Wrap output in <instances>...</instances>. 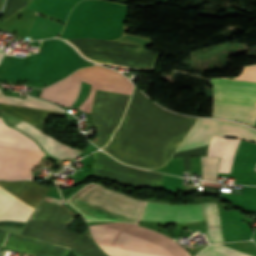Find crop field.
<instances>
[{
    "label": "crop field",
    "instance_id": "8a807250",
    "mask_svg": "<svg viewBox=\"0 0 256 256\" xmlns=\"http://www.w3.org/2000/svg\"><path fill=\"white\" fill-rule=\"evenodd\" d=\"M196 121L161 109L135 88L121 129L103 150L128 165L158 168L174 154Z\"/></svg>",
    "mask_w": 256,
    "mask_h": 256
},
{
    "label": "crop field",
    "instance_id": "ac0d7876",
    "mask_svg": "<svg viewBox=\"0 0 256 256\" xmlns=\"http://www.w3.org/2000/svg\"><path fill=\"white\" fill-rule=\"evenodd\" d=\"M75 216L60 200L44 196L19 236L72 248L77 256H107L94 243L88 230L79 235L65 229Z\"/></svg>",
    "mask_w": 256,
    "mask_h": 256
},
{
    "label": "crop field",
    "instance_id": "34b2d1b8",
    "mask_svg": "<svg viewBox=\"0 0 256 256\" xmlns=\"http://www.w3.org/2000/svg\"><path fill=\"white\" fill-rule=\"evenodd\" d=\"M93 240L166 256H190L178 242L134 224L114 222L89 226ZM95 241V242H96ZM109 256H161L96 242Z\"/></svg>",
    "mask_w": 256,
    "mask_h": 256
},
{
    "label": "crop field",
    "instance_id": "412701ff",
    "mask_svg": "<svg viewBox=\"0 0 256 256\" xmlns=\"http://www.w3.org/2000/svg\"><path fill=\"white\" fill-rule=\"evenodd\" d=\"M0 189L31 213L43 198L49 187L30 181H0ZM0 190V220L25 222L31 214ZM10 233L0 230V246ZM3 247L21 250L36 256H64L69 250L12 236Z\"/></svg>",
    "mask_w": 256,
    "mask_h": 256
},
{
    "label": "crop field",
    "instance_id": "f4fd0767",
    "mask_svg": "<svg viewBox=\"0 0 256 256\" xmlns=\"http://www.w3.org/2000/svg\"><path fill=\"white\" fill-rule=\"evenodd\" d=\"M66 202L83 215L86 221H123L138 224L146 201L91 182Z\"/></svg>",
    "mask_w": 256,
    "mask_h": 256
},
{
    "label": "crop field",
    "instance_id": "dd49c442",
    "mask_svg": "<svg viewBox=\"0 0 256 256\" xmlns=\"http://www.w3.org/2000/svg\"><path fill=\"white\" fill-rule=\"evenodd\" d=\"M81 80L92 84L89 97L78 107L88 113H90L95 89L129 95L133 89V84L121 74L104 67L91 66L80 69L68 78L44 89L40 97L70 107L79 93Z\"/></svg>",
    "mask_w": 256,
    "mask_h": 256
},
{
    "label": "crop field",
    "instance_id": "e52e79f7",
    "mask_svg": "<svg viewBox=\"0 0 256 256\" xmlns=\"http://www.w3.org/2000/svg\"><path fill=\"white\" fill-rule=\"evenodd\" d=\"M130 97L129 95L96 90L91 116L97 136L91 141L100 148L109 143L126 111Z\"/></svg>",
    "mask_w": 256,
    "mask_h": 256
},
{
    "label": "crop field",
    "instance_id": "d8731c3e",
    "mask_svg": "<svg viewBox=\"0 0 256 256\" xmlns=\"http://www.w3.org/2000/svg\"><path fill=\"white\" fill-rule=\"evenodd\" d=\"M212 136H232L256 141V131L251 128L230 122L198 119L177 152L207 145Z\"/></svg>",
    "mask_w": 256,
    "mask_h": 256
},
{
    "label": "crop field",
    "instance_id": "5a996713",
    "mask_svg": "<svg viewBox=\"0 0 256 256\" xmlns=\"http://www.w3.org/2000/svg\"><path fill=\"white\" fill-rule=\"evenodd\" d=\"M0 98L42 102V101L30 98V97H28L27 99L16 98V97H6L2 94L1 90H0ZM8 99H0V103L64 112L51 104L8 100ZM2 104H0V114H1V111H3L10 115H13L19 119H22V120L30 123L32 126L37 128L41 132L45 129L44 123H45L46 118L49 115H51V114L61 115L62 114L60 112L45 111V110L16 107V106H9V105H2Z\"/></svg>",
    "mask_w": 256,
    "mask_h": 256
},
{
    "label": "crop field",
    "instance_id": "3316defc",
    "mask_svg": "<svg viewBox=\"0 0 256 256\" xmlns=\"http://www.w3.org/2000/svg\"><path fill=\"white\" fill-rule=\"evenodd\" d=\"M214 103L254 106L256 102V83L211 79Z\"/></svg>",
    "mask_w": 256,
    "mask_h": 256
},
{
    "label": "crop field",
    "instance_id": "28ad6ade",
    "mask_svg": "<svg viewBox=\"0 0 256 256\" xmlns=\"http://www.w3.org/2000/svg\"><path fill=\"white\" fill-rule=\"evenodd\" d=\"M19 150L25 156H27L35 165L44 155L43 152L22 149ZM19 150L14 148L0 147V177H31V169L35 165Z\"/></svg>",
    "mask_w": 256,
    "mask_h": 256
},
{
    "label": "crop field",
    "instance_id": "d1516ede",
    "mask_svg": "<svg viewBox=\"0 0 256 256\" xmlns=\"http://www.w3.org/2000/svg\"><path fill=\"white\" fill-rule=\"evenodd\" d=\"M143 220L193 222L204 220L201 204L168 205L147 201Z\"/></svg>",
    "mask_w": 256,
    "mask_h": 256
},
{
    "label": "crop field",
    "instance_id": "22f410ed",
    "mask_svg": "<svg viewBox=\"0 0 256 256\" xmlns=\"http://www.w3.org/2000/svg\"><path fill=\"white\" fill-rule=\"evenodd\" d=\"M15 127L23 130L25 133L35 138L41 145V147H43L49 154L57 158H75L79 153L82 152L67 147L66 145L58 142L57 140L40 133L38 130H36L34 127L24 121L20 122Z\"/></svg>",
    "mask_w": 256,
    "mask_h": 256
},
{
    "label": "crop field",
    "instance_id": "cbeb9de0",
    "mask_svg": "<svg viewBox=\"0 0 256 256\" xmlns=\"http://www.w3.org/2000/svg\"><path fill=\"white\" fill-rule=\"evenodd\" d=\"M238 141V139H228L223 137L212 138L207 156H222L218 172H231Z\"/></svg>",
    "mask_w": 256,
    "mask_h": 256
},
{
    "label": "crop field",
    "instance_id": "5142ce71",
    "mask_svg": "<svg viewBox=\"0 0 256 256\" xmlns=\"http://www.w3.org/2000/svg\"><path fill=\"white\" fill-rule=\"evenodd\" d=\"M0 146L41 151L35 141L8 127L2 118H0Z\"/></svg>",
    "mask_w": 256,
    "mask_h": 256
},
{
    "label": "crop field",
    "instance_id": "d9b57169",
    "mask_svg": "<svg viewBox=\"0 0 256 256\" xmlns=\"http://www.w3.org/2000/svg\"><path fill=\"white\" fill-rule=\"evenodd\" d=\"M212 112L256 116V108L213 104ZM212 113V117L237 120L255 125L256 117Z\"/></svg>",
    "mask_w": 256,
    "mask_h": 256
},
{
    "label": "crop field",
    "instance_id": "733c2abd",
    "mask_svg": "<svg viewBox=\"0 0 256 256\" xmlns=\"http://www.w3.org/2000/svg\"><path fill=\"white\" fill-rule=\"evenodd\" d=\"M205 218L207 223V237L211 243L224 242L221 230L220 221L217 213L216 203H203Z\"/></svg>",
    "mask_w": 256,
    "mask_h": 256
},
{
    "label": "crop field",
    "instance_id": "4a817a6b",
    "mask_svg": "<svg viewBox=\"0 0 256 256\" xmlns=\"http://www.w3.org/2000/svg\"><path fill=\"white\" fill-rule=\"evenodd\" d=\"M196 256H252L229 247L215 244L201 249Z\"/></svg>",
    "mask_w": 256,
    "mask_h": 256
},
{
    "label": "crop field",
    "instance_id": "bc2a9ffb",
    "mask_svg": "<svg viewBox=\"0 0 256 256\" xmlns=\"http://www.w3.org/2000/svg\"><path fill=\"white\" fill-rule=\"evenodd\" d=\"M221 157H201L202 179L217 181V171Z\"/></svg>",
    "mask_w": 256,
    "mask_h": 256
},
{
    "label": "crop field",
    "instance_id": "214f88e0",
    "mask_svg": "<svg viewBox=\"0 0 256 256\" xmlns=\"http://www.w3.org/2000/svg\"><path fill=\"white\" fill-rule=\"evenodd\" d=\"M235 79L256 81V64L244 67L243 71Z\"/></svg>",
    "mask_w": 256,
    "mask_h": 256
},
{
    "label": "crop field",
    "instance_id": "92a150f3",
    "mask_svg": "<svg viewBox=\"0 0 256 256\" xmlns=\"http://www.w3.org/2000/svg\"><path fill=\"white\" fill-rule=\"evenodd\" d=\"M202 185L219 188L221 184L202 181Z\"/></svg>",
    "mask_w": 256,
    "mask_h": 256
},
{
    "label": "crop field",
    "instance_id": "dafd665d",
    "mask_svg": "<svg viewBox=\"0 0 256 256\" xmlns=\"http://www.w3.org/2000/svg\"><path fill=\"white\" fill-rule=\"evenodd\" d=\"M4 54H5V52L0 51V63L2 61V58H3Z\"/></svg>",
    "mask_w": 256,
    "mask_h": 256
},
{
    "label": "crop field",
    "instance_id": "00972430",
    "mask_svg": "<svg viewBox=\"0 0 256 256\" xmlns=\"http://www.w3.org/2000/svg\"><path fill=\"white\" fill-rule=\"evenodd\" d=\"M1 1H2V0H0V6H1Z\"/></svg>",
    "mask_w": 256,
    "mask_h": 256
}]
</instances>
